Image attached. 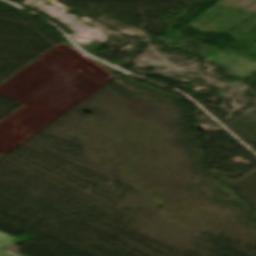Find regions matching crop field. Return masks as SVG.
Segmentation results:
<instances>
[{"label":"crop field","instance_id":"obj_2","mask_svg":"<svg viewBox=\"0 0 256 256\" xmlns=\"http://www.w3.org/2000/svg\"><path fill=\"white\" fill-rule=\"evenodd\" d=\"M20 242H22V241H18L16 239L0 232V249L1 250H4V249L11 247L15 244H18Z\"/></svg>","mask_w":256,"mask_h":256},{"label":"crop field","instance_id":"obj_1","mask_svg":"<svg viewBox=\"0 0 256 256\" xmlns=\"http://www.w3.org/2000/svg\"><path fill=\"white\" fill-rule=\"evenodd\" d=\"M61 51H63L65 54H67L69 57H71L76 62L72 65H74L76 68L81 70L83 73L91 77L93 80L98 82L100 85L106 84L108 81H110L108 78L111 76L105 71L101 70L91 62L84 59L79 53H77L75 50L69 48L68 46L62 44L60 46H57Z\"/></svg>","mask_w":256,"mask_h":256}]
</instances>
